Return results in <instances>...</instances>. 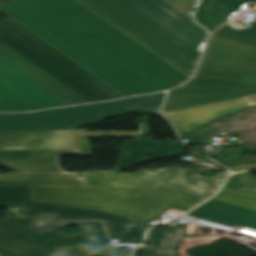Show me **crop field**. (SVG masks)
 Instances as JSON below:
<instances>
[{
    "label": "crop field",
    "instance_id": "8a807250",
    "mask_svg": "<svg viewBox=\"0 0 256 256\" xmlns=\"http://www.w3.org/2000/svg\"><path fill=\"white\" fill-rule=\"evenodd\" d=\"M0 9L124 97L189 79L75 0H5Z\"/></svg>",
    "mask_w": 256,
    "mask_h": 256
},
{
    "label": "crop field",
    "instance_id": "ac0d7876",
    "mask_svg": "<svg viewBox=\"0 0 256 256\" xmlns=\"http://www.w3.org/2000/svg\"><path fill=\"white\" fill-rule=\"evenodd\" d=\"M191 78L205 29L163 0H77Z\"/></svg>",
    "mask_w": 256,
    "mask_h": 256
},
{
    "label": "crop field",
    "instance_id": "34b2d1b8",
    "mask_svg": "<svg viewBox=\"0 0 256 256\" xmlns=\"http://www.w3.org/2000/svg\"><path fill=\"white\" fill-rule=\"evenodd\" d=\"M33 200L101 210L149 221L181 195L167 185L146 187H32Z\"/></svg>",
    "mask_w": 256,
    "mask_h": 256
},
{
    "label": "crop field",
    "instance_id": "412701ff",
    "mask_svg": "<svg viewBox=\"0 0 256 256\" xmlns=\"http://www.w3.org/2000/svg\"><path fill=\"white\" fill-rule=\"evenodd\" d=\"M0 41L88 102L122 97L1 10Z\"/></svg>",
    "mask_w": 256,
    "mask_h": 256
},
{
    "label": "crop field",
    "instance_id": "f4fd0767",
    "mask_svg": "<svg viewBox=\"0 0 256 256\" xmlns=\"http://www.w3.org/2000/svg\"><path fill=\"white\" fill-rule=\"evenodd\" d=\"M164 96V93H159L111 103L90 104L36 113L0 114V131L75 129L120 114L160 113L159 109Z\"/></svg>",
    "mask_w": 256,
    "mask_h": 256
},
{
    "label": "crop field",
    "instance_id": "dd49c442",
    "mask_svg": "<svg viewBox=\"0 0 256 256\" xmlns=\"http://www.w3.org/2000/svg\"><path fill=\"white\" fill-rule=\"evenodd\" d=\"M230 174L229 171L216 173L211 179L196 172L173 167L162 170L140 171L121 174L120 170L79 173L86 186H146L167 184L182 195L170 208L188 211L216 193Z\"/></svg>",
    "mask_w": 256,
    "mask_h": 256
},
{
    "label": "crop field",
    "instance_id": "e52e79f7",
    "mask_svg": "<svg viewBox=\"0 0 256 256\" xmlns=\"http://www.w3.org/2000/svg\"><path fill=\"white\" fill-rule=\"evenodd\" d=\"M252 93H256V69L202 61L192 81L169 91L163 109L177 110Z\"/></svg>",
    "mask_w": 256,
    "mask_h": 256
},
{
    "label": "crop field",
    "instance_id": "d8731c3e",
    "mask_svg": "<svg viewBox=\"0 0 256 256\" xmlns=\"http://www.w3.org/2000/svg\"><path fill=\"white\" fill-rule=\"evenodd\" d=\"M0 206H22L28 209L23 218L105 220L111 239L121 242H141L149 225L144 221L101 211L32 201L31 187H0Z\"/></svg>",
    "mask_w": 256,
    "mask_h": 256
},
{
    "label": "crop field",
    "instance_id": "5a996713",
    "mask_svg": "<svg viewBox=\"0 0 256 256\" xmlns=\"http://www.w3.org/2000/svg\"><path fill=\"white\" fill-rule=\"evenodd\" d=\"M139 132L85 130L0 132V147L37 149H91L87 137H138Z\"/></svg>",
    "mask_w": 256,
    "mask_h": 256
},
{
    "label": "crop field",
    "instance_id": "3316defc",
    "mask_svg": "<svg viewBox=\"0 0 256 256\" xmlns=\"http://www.w3.org/2000/svg\"><path fill=\"white\" fill-rule=\"evenodd\" d=\"M34 84L0 60V112L30 111L64 105Z\"/></svg>",
    "mask_w": 256,
    "mask_h": 256
},
{
    "label": "crop field",
    "instance_id": "28ad6ade",
    "mask_svg": "<svg viewBox=\"0 0 256 256\" xmlns=\"http://www.w3.org/2000/svg\"><path fill=\"white\" fill-rule=\"evenodd\" d=\"M59 156H92L91 150L0 151V166L11 172H65Z\"/></svg>",
    "mask_w": 256,
    "mask_h": 256
},
{
    "label": "crop field",
    "instance_id": "d1516ede",
    "mask_svg": "<svg viewBox=\"0 0 256 256\" xmlns=\"http://www.w3.org/2000/svg\"><path fill=\"white\" fill-rule=\"evenodd\" d=\"M251 105H256V94L177 111H163V114L177 129L190 131L214 118L234 113Z\"/></svg>",
    "mask_w": 256,
    "mask_h": 256
},
{
    "label": "crop field",
    "instance_id": "22f410ed",
    "mask_svg": "<svg viewBox=\"0 0 256 256\" xmlns=\"http://www.w3.org/2000/svg\"><path fill=\"white\" fill-rule=\"evenodd\" d=\"M0 59L65 106L86 103L81 97L0 42Z\"/></svg>",
    "mask_w": 256,
    "mask_h": 256
},
{
    "label": "crop field",
    "instance_id": "cbeb9de0",
    "mask_svg": "<svg viewBox=\"0 0 256 256\" xmlns=\"http://www.w3.org/2000/svg\"><path fill=\"white\" fill-rule=\"evenodd\" d=\"M227 0H203L197 11V20L212 34L256 47V28L241 30L227 23Z\"/></svg>",
    "mask_w": 256,
    "mask_h": 256
},
{
    "label": "crop field",
    "instance_id": "5142ce71",
    "mask_svg": "<svg viewBox=\"0 0 256 256\" xmlns=\"http://www.w3.org/2000/svg\"><path fill=\"white\" fill-rule=\"evenodd\" d=\"M202 60L256 68V48L212 35Z\"/></svg>",
    "mask_w": 256,
    "mask_h": 256
},
{
    "label": "crop field",
    "instance_id": "d9b57169",
    "mask_svg": "<svg viewBox=\"0 0 256 256\" xmlns=\"http://www.w3.org/2000/svg\"><path fill=\"white\" fill-rule=\"evenodd\" d=\"M187 215L231 226L247 225L256 228V212L213 199L207 201Z\"/></svg>",
    "mask_w": 256,
    "mask_h": 256
},
{
    "label": "crop field",
    "instance_id": "733c2abd",
    "mask_svg": "<svg viewBox=\"0 0 256 256\" xmlns=\"http://www.w3.org/2000/svg\"><path fill=\"white\" fill-rule=\"evenodd\" d=\"M254 178L255 176L248 172L231 176L213 199L256 211V180Z\"/></svg>",
    "mask_w": 256,
    "mask_h": 256
},
{
    "label": "crop field",
    "instance_id": "4a817a6b",
    "mask_svg": "<svg viewBox=\"0 0 256 256\" xmlns=\"http://www.w3.org/2000/svg\"><path fill=\"white\" fill-rule=\"evenodd\" d=\"M0 185L85 186L78 173H6L0 175Z\"/></svg>",
    "mask_w": 256,
    "mask_h": 256
},
{
    "label": "crop field",
    "instance_id": "bc2a9ffb",
    "mask_svg": "<svg viewBox=\"0 0 256 256\" xmlns=\"http://www.w3.org/2000/svg\"><path fill=\"white\" fill-rule=\"evenodd\" d=\"M186 146L181 143H174L169 140H151L138 152L131 153L128 149H123L121 155H129L124 168L132 167L145 161L146 156L165 157L169 152L183 154Z\"/></svg>",
    "mask_w": 256,
    "mask_h": 256
},
{
    "label": "crop field",
    "instance_id": "214f88e0",
    "mask_svg": "<svg viewBox=\"0 0 256 256\" xmlns=\"http://www.w3.org/2000/svg\"><path fill=\"white\" fill-rule=\"evenodd\" d=\"M182 229L183 227L166 229L152 228L148 233L145 248L179 249Z\"/></svg>",
    "mask_w": 256,
    "mask_h": 256
},
{
    "label": "crop field",
    "instance_id": "92a150f3",
    "mask_svg": "<svg viewBox=\"0 0 256 256\" xmlns=\"http://www.w3.org/2000/svg\"><path fill=\"white\" fill-rule=\"evenodd\" d=\"M64 225L70 226L77 223L81 231L83 242L87 244H103L108 241V236L102 222L90 221H58Z\"/></svg>",
    "mask_w": 256,
    "mask_h": 256
},
{
    "label": "crop field",
    "instance_id": "dafd665d",
    "mask_svg": "<svg viewBox=\"0 0 256 256\" xmlns=\"http://www.w3.org/2000/svg\"><path fill=\"white\" fill-rule=\"evenodd\" d=\"M64 225L54 220H33L28 230L35 231L37 233L54 231Z\"/></svg>",
    "mask_w": 256,
    "mask_h": 256
},
{
    "label": "crop field",
    "instance_id": "00972430",
    "mask_svg": "<svg viewBox=\"0 0 256 256\" xmlns=\"http://www.w3.org/2000/svg\"><path fill=\"white\" fill-rule=\"evenodd\" d=\"M192 18V14L199 0H164ZM187 16V17H188ZM193 19V18H192Z\"/></svg>",
    "mask_w": 256,
    "mask_h": 256
},
{
    "label": "crop field",
    "instance_id": "a9b5d70f",
    "mask_svg": "<svg viewBox=\"0 0 256 256\" xmlns=\"http://www.w3.org/2000/svg\"><path fill=\"white\" fill-rule=\"evenodd\" d=\"M144 256H178L177 251L171 250H141Z\"/></svg>",
    "mask_w": 256,
    "mask_h": 256
},
{
    "label": "crop field",
    "instance_id": "4177f3b9",
    "mask_svg": "<svg viewBox=\"0 0 256 256\" xmlns=\"http://www.w3.org/2000/svg\"><path fill=\"white\" fill-rule=\"evenodd\" d=\"M148 141L130 140L124 141L123 148L131 149L132 152L137 151L145 146Z\"/></svg>",
    "mask_w": 256,
    "mask_h": 256
},
{
    "label": "crop field",
    "instance_id": "730fd06b",
    "mask_svg": "<svg viewBox=\"0 0 256 256\" xmlns=\"http://www.w3.org/2000/svg\"><path fill=\"white\" fill-rule=\"evenodd\" d=\"M245 6L246 4L239 0H228L226 4V10L228 14H231L238 9L245 8Z\"/></svg>",
    "mask_w": 256,
    "mask_h": 256
},
{
    "label": "crop field",
    "instance_id": "eef30255",
    "mask_svg": "<svg viewBox=\"0 0 256 256\" xmlns=\"http://www.w3.org/2000/svg\"><path fill=\"white\" fill-rule=\"evenodd\" d=\"M72 252V247H56V251L50 256H77Z\"/></svg>",
    "mask_w": 256,
    "mask_h": 256
},
{
    "label": "crop field",
    "instance_id": "ae1a2a85",
    "mask_svg": "<svg viewBox=\"0 0 256 256\" xmlns=\"http://www.w3.org/2000/svg\"><path fill=\"white\" fill-rule=\"evenodd\" d=\"M103 251L106 252V253H108L109 256H115V253H114V250H113V247H112V246H111V247H105V248H103Z\"/></svg>",
    "mask_w": 256,
    "mask_h": 256
},
{
    "label": "crop field",
    "instance_id": "d3111659",
    "mask_svg": "<svg viewBox=\"0 0 256 256\" xmlns=\"http://www.w3.org/2000/svg\"><path fill=\"white\" fill-rule=\"evenodd\" d=\"M128 156H121L117 168H123Z\"/></svg>",
    "mask_w": 256,
    "mask_h": 256
},
{
    "label": "crop field",
    "instance_id": "750c4746",
    "mask_svg": "<svg viewBox=\"0 0 256 256\" xmlns=\"http://www.w3.org/2000/svg\"><path fill=\"white\" fill-rule=\"evenodd\" d=\"M256 27V23L255 22H252V21H249V26L244 28V29H253Z\"/></svg>",
    "mask_w": 256,
    "mask_h": 256
},
{
    "label": "crop field",
    "instance_id": "bd1437ed",
    "mask_svg": "<svg viewBox=\"0 0 256 256\" xmlns=\"http://www.w3.org/2000/svg\"><path fill=\"white\" fill-rule=\"evenodd\" d=\"M0 150H24V149H8V148H0Z\"/></svg>",
    "mask_w": 256,
    "mask_h": 256
},
{
    "label": "crop field",
    "instance_id": "1d83c4d3",
    "mask_svg": "<svg viewBox=\"0 0 256 256\" xmlns=\"http://www.w3.org/2000/svg\"><path fill=\"white\" fill-rule=\"evenodd\" d=\"M0 256H2V255H0Z\"/></svg>",
    "mask_w": 256,
    "mask_h": 256
}]
</instances>
